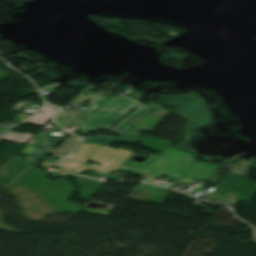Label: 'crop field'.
Segmentation results:
<instances>
[{"label":"crop field","instance_id":"412701ff","mask_svg":"<svg viewBox=\"0 0 256 256\" xmlns=\"http://www.w3.org/2000/svg\"><path fill=\"white\" fill-rule=\"evenodd\" d=\"M190 160L191 156L189 153L169 148L164 156L160 158L155 166L149 171V173H152L151 177L163 175L178 179L186 167L190 164ZM175 181L170 186H172Z\"/></svg>","mask_w":256,"mask_h":256},{"label":"crop field","instance_id":"5a996713","mask_svg":"<svg viewBox=\"0 0 256 256\" xmlns=\"http://www.w3.org/2000/svg\"><path fill=\"white\" fill-rule=\"evenodd\" d=\"M117 154L119 155L115 161L108 167V169L105 171L106 173H113L124 161L125 159L130 155L131 151H127L124 149H116L115 150ZM67 169H69L72 172L79 173L85 169L82 168H76V167H71V166H66L64 165Z\"/></svg>","mask_w":256,"mask_h":256},{"label":"crop field","instance_id":"dd49c442","mask_svg":"<svg viewBox=\"0 0 256 256\" xmlns=\"http://www.w3.org/2000/svg\"><path fill=\"white\" fill-rule=\"evenodd\" d=\"M106 97L98 94L87 106L85 110H63L55 121L63 128L67 129L71 124L81 123Z\"/></svg>","mask_w":256,"mask_h":256},{"label":"crop field","instance_id":"34b2d1b8","mask_svg":"<svg viewBox=\"0 0 256 256\" xmlns=\"http://www.w3.org/2000/svg\"><path fill=\"white\" fill-rule=\"evenodd\" d=\"M94 155V156H91ZM118 155L106 146L81 144L65 161L64 164L87 169H96L104 172ZM87 160L102 163L101 166L85 164Z\"/></svg>","mask_w":256,"mask_h":256},{"label":"crop field","instance_id":"8a807250","mask_svg":"<svg viewBox=\"0 0 256 256\" xmlns=\"http://www.w3.org/2000/svg\"><path fill=\"white\" fill-rule=\"evenodd\" d=\"M157 109L158 111H155ZM152 111V113H149ZM168 111L161 109L159 105L148 104L128 117L118 128L112 130L119 137L93 136L84 137L82 142H91L111 146L113 142L140 143L144 139L139 137L140 131H150L155 127ZM129 128V130H128ZM126 131V133H123Z\"/></svg>","mask_w":256,"mask_h":256},{"label":"crop field","instance_id":"ac0d7876","mask_svg":"<svg viewBox=\"0 0 256 256\" xmlns=\"http://www.w3.org/2000/svg\"><path fill=\"white\" fill-rule=\"evenodd\" d=\"M108 98L110 100H107ZM113 98L116 99L113 100ZM112 101L116 104H113ZM118 102L120 104H117ZM123 105L127 108L124 109V107H122ZM100 106L102 107L99 108ZM107 106H109V108H107ZM138 106L140 105L136 102L127 100L121 96L107 97L80 125H78V127L83 132L114 127ZM110 110H112V112H110ZM104 111L106 112L103 113ZM121 113L123 116L120 115ZM90 126L94 128H90Z\"/></svg>","mask_w":256,"mask_h":256},{"label":"crop field","instance_id":"e52e79f7","mask_svg":"<svg viewBox=\"0 0 256 256\" xmlns=\"http://www.w3.org/2000/svg\"><path fill=\"white\" fill-rule=\"evenodd\" d=\"M78 143L77 138L67 137L61 144H59L51 153L53 155L55 152L60 153V157L58 160L47 157L44 161L39 165L41 167H55L68 153L69 151Z\"/></svg>","mask_w":256,"mask_h":256},{"label":"crop field","instance_id":"3316defc","mask_svg":"<svg viewBox=\"0 0 256 256\" xmlns=\"http://www.w3.org/2000/svg\"><path fill=\"white\" fill-rule=\"evenodd\" d=\"M41 110H43V112L42 113L37 112L28 121V123L43 126L52 117V115L58 111L56 107L50 106V105H45Z\"/></svg>","mask_w":256,"mask_h":256},{"label":"crop field","instance_id":"28ad6ade","mask_svg":"<svg viewBox=\"0 0 256 256\" xmlns=\"http://www.w3.org/2000/svg\"><path fill=\"white\" fill-rule=\"evenodd\" d=\"M31 137H33L32 134H26V133H16L13 131H10L5 136L1 137L0 140H7V141H15L19 143H26Z\"/></svg>","mask_w":256,"mask_h":256},{"label":"crop field","instance_id":"f4fd0767","mask_svg":"<svg viewBox=\"0 0 256 256\" xmlns=\"http://www.w3.org/2000/svg\"><path fill=\"white\" fill-rule=\"evenodd\" d=\"M61 139V136L42 135L33 143L26 145L20 152L30 155L25 162L34 163L41 160Z\"/></svg>","mask_w":256,"mask_h":256},{"label":"crop field","instance_id":"d1516ede","mask_svg":"<svg viewBox=\"0 0 256 256\" xmlns=\"http://www.w3.org/2000/svg\"><path fill=\"white\" fill-rule=\"evenodd\" d=\"M151 157L152 156L148 157L144 163L128 161L126 164H129V165L135 166V167H139L142 169L150 170L154 166V164L157 162V160L159 159L157 157H154V158H151Z\"/></svg>","mask_w":256,"mask_h":256},{"label":"crop field","instance_id":"d8731c3e","mask_svg":"<svg viewBox=\"0 0 256 256\" xmlns=\"http://www.w3.org/2000/svg\"><path fill=\"white\" fill-rule=\"evenodd\" d=\"M214 165L203 164L195 161L191 168L186 172L184 177L196 178L204 180L209 172L213 169Z\"/></svg>","mask_w":256,"mask_h":256}]
</instances>
